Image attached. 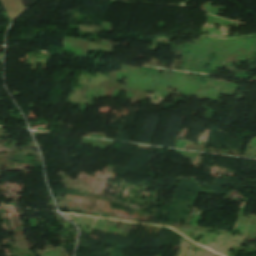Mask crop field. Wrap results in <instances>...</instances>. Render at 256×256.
I'll use <instances>...</instances> for the list:
<instances>
[{"mask_svg": "<svg viewBox=\"0 0 256 256\" xmlns=\"http://www.w3.org/2000/svg\"><path fill=\"white\" fill-rule=\"evenodd\" d=\"M11 20L20 13L24 7L21 0H1Z\"/></svg>", "mask_w": 256, "mask_h": 256, "instance_id": "8a807250", "label": "crop field"}]
</instances>
